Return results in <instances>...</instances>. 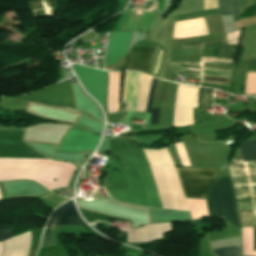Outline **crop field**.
Segmentation results:
<instances>
[{"instance_id": "1", "label": "crop field", "mask_w": 256, "mask_h": 256, "mask_svg": "<svg viewBox=\"0 0 256 256\" xmlns=\"http://www.w3.org/2000/svg\"><path fill=\"white\" fill-rule=\"evenodd\" d=\"M129 189L106 190L113 199L139 206L161 207L149 167L123 168Z\"/></svg>"}, {"instance_id": "2", "label": "crop field", "mask_w": 256, "mask_h": 256, "mask_svg": "<svg viewBox=\"0 0 256 256\" xmlns=\"http://www.w3.org/2000/svg\"><path fill=\"white\" fill-rule=\"evenodd\" d=\"M206 201L210 216H223L231 224L240 226L229 177L215 179L206 194Z\"/></svg>"}, {"instance_id": "3", "label": "crop field", "mask_w": 256, "mask_h": 256, "mask_svg": "<svg viewBox=\"0 0 256 256\" xmlns=\"http://www.w3.org/2000/svg\"><path fill=\"white\" fill-rule=\"evenodd\" d=\"M179 178L214 179L218 169L175 167ZM186 197L204 198L213 180L180 179Z\"/></svg>"}, {"instance_id": "4", "label": "crop field", "mask_w": 256, "mask_h": 256, "mask_svg": "<svg viewBox=\"0 0 256 256\" xmlns=\"http://www.w3.org/2000/svg\"><path fill=\"white\" fill-rule=\"evenodd\" d=\"M15 98L43 104L74 108L68 80L59 82L38 92L29 93Z\"/></svg>"}, {"instance_id": "5", "label": "crop field", "mask_w": 256, "mask_h": 256, "mask_svg": "<svg viewBox=\"0 0 256 256\" xmlns=\"http://www.w3.org/2000/svg\"><path fill=\"white\" fill-rule=\"evenodd\" d=\"M23 132L0 131V157L45 158L32 148L21 143Z\"/></svg>"}, {"instance_id": "6", "label": "crop field", "mask_w": 256, "mask_h": 256, "mask_svg": "<svg viewBox=\"0 0 256 256\" xmlns=\"http://www.w3.org/2000/svg\"><path fill=\"white\" fill-rule=\"evenodd\" d=\"M84 88L102 105L105 106L106 72L72 65Z\"/></svg>"}, {"instance_id": "7", "label": "crop field", "mask_w": 256, "mask_h": 256, "mask_svg": "<svg viewBox=\"0 0 256 256\" xmlns=\"http://www.w3.org/2000/svg\"><path fill=\"white\" fill-rule=\"evenodd\" d=\"M112 155H117L123 167L149 166L141 149L130 139L109 140Z\"/></svg>"}, {"instance_id": "8", "label": "crop field", "mask_w": 256, "mask_h": 256, "mask_svg": "<svg viewBox=\"0 0 256 256\" xmlns=\"http://www.w3.org/2000/svg\"><path fill=\"white\" fill-rule=\"evenodd\" d=\"M61 225L84 226L72 200L53 211L46 227H57Z\"/></svg>"}, {"instance_id": "9", "label": "crop field", "mask_w": 256, "mask_h": 256, "mask_svg": "<svg viewBox=\"0 0 256 256\" xmlns=\"http://www.w3.org/2000/svg\"><path fill=\"white\" fill-rule=\"evenodd\" d=\"M130 35L131 33L128 32H112L109 43L107 66L127 54Z\"/></svg>"}, {"instance_id": "10", "label": "crop field", "mask_w": 256, "mask_h": 256, "mask_svg": "<svg viewBox=\"0 0 256 256\" xmlns=\"http://www.w3.org/2000/svg\"><path fill=\"white\" fill-rule=\"evenodd\" d=\"M153 49L154 47L134 46L129 55L127 68L148 73Z\"/></svg>"}, {"instance_id": "11", "label": "crop field", "mask_w": 256, "mask_h": 256, "mask_svg": "<svg viewBox=\"0 0 256 256\" xmlns=\"http://www.w3.org/2000/svg\"><path fill=\"white\" fill-rule=\"evenodd\" d=\"M108 75L109 83L107 94V106L108 112H114L118 111L119 108L121 73L108 72Z\"/></svg>"}, {"instance_id": "12", "label": "crop field", "mask_w": 256, "mask_h": 256, "mask_svg": "<svg viewBox=\"0 0 256 256\" xmlns=\"http://www.w3.org/2000/svg\"><path fill=\"white\" fill-rule=\"evenodd\" d=\"M221 16L232 14L236 19L240 15V0H219Z\"/></svg>"}, {"instance_id": "13", "label": "crop field", "mask_w": 256, "mask_h": 256, "mask_svg": "<svg viewBox=\"0 0 256 256\" xmlns=\"http://www.w3.org/2000/svg\"><path fill=\"white\" fill-rule=\"evenodd\" d=\"M156 80L157 79L155 78L152 80L149 97L144 112H151L150 123L159 124L160 108H151Z\"/></svg>"}, {"instance_id": "14", "label": "crop field", "mask_w": 256, "mask_h": 256, "mask_svg": "<svg viewBox=\"0 0 256 256\" xmlns=\"http://www.w3.org/2000/svg\"><path fill=\"white\" fill-rule=\"evenodd\" d=\"M243 160H256V140L244 142L240 145Z\"/></svg>"}, {"instance_id": "15", "label": "crop field", "mask_w": 256, "mask_h": 256, "mask_svg": "<svg viewBox=\"0 0 256 256\" xmlns=\"http://www.w3.org/2000/svg\"><path fill=\"white\" fill-rule=\"evenodd\" d=\"M214 255L216 256H239L240 246L230 247V248H221L213 249Z\"/></svg>"}, {"instance_id": "16", "label": "crop field", "mask_w": 256, "mask_h": 256, "mask_svg": "<svg viewBox=\"0 0 256 256\" xmlns=\"http://www.w3.org/2000/svg\"><path fill=\"white\" fill-rule=\"evenodd\" d=\"M245 94H256V73H248Z\"/></svg>"}, {"instance_id": "17", "label": "crop field", "mask_w": 256, "mask_h": 256, "mask_svg": "<svg viewBox=\"0 0 256 256\" xmlns=\"http://www.w3.org/2000/svg\"><path fill=\"white\" fill-rule=\"evenodd\" d=\"M52 245H54V231H53V228H50V229H46L44 233L41 248L52 246Z\"/></svg>"}, {"instance_id": "18", "label": "crop field", "mask_w": 256, "mask_h": 256, "mask_svg": "<svg viewBox=\"0 0 256 256\" xmlns=\"http://www.w3.org/2000/svg\"><path fill=\"white\" fill-rule=\"evenodd\" d=\"M9 238H13L11 228L7 226L0 227V241Z\"/></svg>"}, {"instance_id": "19", "label": "crop field", "mask_w": 256, "mask_h": 256, "mask_svg": "<svg viewBox=\"0 0 256 256\" xmlns=\"http://www.w3.org/2000/svg\"><path fill=\"white\" fill-rule=\"evenodd\" d=\"M254 250H256V230H254Z\"/></svg>"}, {"instance_id": "20", "label": "crop field", "mask_w": 256, "mask_h": 256, "mask_svg": "<svg viewBox=\"0 0 256 256\" xmlns=\"http://www.w3.org/2000/svg\"><path fill=\"white\" fill-rule=\"evenodd\" d=\"M33 253H34V251H31V252H30V255H29V254H28V255H29V256H32V255H33ZM34 256H35V254H34Z\"/></svg>"}, {"instance_id": "21", "label": "crop field", "mask_w": 256, "mask_h": 256, "mask_svg": "<svg viewBox=\"0 0 256 256\" xmlns=\"http://www.w3.org/2000/svg\"><path fill=\"white\" fill-rule=\"evenodd\" d=\"M255 215H256V211H255Z\"/></svg>"}]
</instances>
